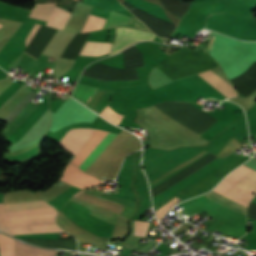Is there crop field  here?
<instances>
[{
  "label": "crop field",
  "instance_id": "crop-field-20",
  "mask_svg": "<svg viewBox=\"0 0 256 256\" xmlns=\"http://www.w3.org/2000/svg\"><path fill=\"white\" fill-rule=\"evenodd\" d=\"M43 28V26L36 24L34 29L32 30V32L30 33V35L27 37V39L25 40L27 49L29 48V46L31 45V43L33 42V40L36 38V36L38 35V33L40 32V30ZM26 49V50H27ZM25 50V52H26Z\"/></svg>",
  "mask_w": 256,
  "mask_h": 256
},
{
  "label": "crop field",
  "instance_id": "crop-field-22",
  "mask_svg": "<svg viewBox=\"0 0 256 256\" xmlns=\"http://www.w3.org/2000/svg\"><path fill=\"white\" fill-rule=\"evenodd\" d=\"M1 27V26H0Z\"/></svg>",
  "mask_w": 256,
  "mask_h": 256
},
{
  "label": "crop field",
  "instance_id": "crop-field-3",
  "mask_svg": "<svg viewBox=\"0 0 256 256\" xmlns=\"http://www.w3.org/2000/svg\"><path fill=\"white\" fill-rule=\"evenodd\" d=\"M56 214L57 211L54 207L4 212L3 203H0V230L11 235L64 232L56 225V223L19 227L14 229H11L8 223V220L41 218L47 216H56Z\"/></svg>",
  "mask_w": 256,
  "mask_h": 256
},
{
  "label": "crop field",
  "instance_id": "crop-field-17",
  "mask_svg": "<svg viewBox=\"0 0 256 256\" xmlns=\"http://www.w3.org/2000/svg\"><path fill=\"white\" fill-rule=\"evenodd\" d=\"M99 115L115 125H118L123 118V115L116 114L109 106H107Z\"/></svg>",
  "mask_w": 256,
  "mask_h": 256
},
{
  "label": "crop field",
  "instance_id": "crop-field-6",
  "mask_svg": "<svg viewBox=\"0 0 256 256\" xmlns=\"http://www.w3.org/2000/svg\"><path fill=\"white\" fill-rule=\"evenodd\" d=\"M95 131L91 128H72L65 133L61 143H59L76 155Z\"/></svg>",
  "mask_w": 256,
  "mask_h": 256
},
{
  "label": "crop field",
  "instance_id": "crop-field-8",
  "mask_svg": "<svg viewBox=\"0 0 256 256\" xmlns=\"http://www.w3.org/2000/svg\"><path fill=\"white\" fill-rule=\"evenodd\" d=\"M199 75H201L205 80H207L211 85H213L226 97L236 96L233 87L226 83L223 79H221L211 70L200 73Z\"/></svg>",
  "mask_w": 256,
  "mask_h": 256
},
{
  "label": "crop field",
  "instance_id": "crop-field-10",
  "mask_svg": "<svg viewBox=\"0 0 256 256\" xmlns=\"http://www.w3.org/2000/svg\"><path fill=\"white\" fill-rule=\"evenodd\" d=\"M112 44L86 41L80 55L100 56L109 53Z\"/></svg>",
  "mask_w": 256,
  "mask_h": 256
},
{
  "label": "crop field",
  "instance_id": "crop-field-7",
  "mask_svg": "<svg viewBox=\"0 0 256 256\" xmlns=\"http://www.w3.org/2000/svg\"><path fill=\"white\" fill-rule=\"evenodd\" d=\"M60 180L68 182L81 189L101 182L97 180L95 177L86 174L85 172L79 170L77 167L69 163L63 170Z\"/></svg>",
  "mask_w": 256,
  "mask_h": 256
},
{
  "label": "crop field",
  "instance_id": "crop-field-18",
  "mask_svg": "<svg viewBox=\"0 0 256 256\" xmlns=\"http://www.w3.org/2000/svg\"><path fill=\"white\" fill-rule=\"evenodd\" d=\"M148 222L135 221L134 236H145Z\"/></svg>",
  "mask_w": 256,
  "mask_h": 256
},
{
  "label": "crop field",
  "instance_id": "crop-field-13",
  "mask_svg": "<svg viewBox=\"0 0 256 256\" xmlns=\"http://www.w3.org/2000/svg\"><path fill=\"white\" fill-rule=\"evenodd\" d=\"M96 90H97L96 87L78 83L75 88V91L73 93V98H75L76 100L85 104V102L88 100V98L90 96H93V94L95 93ZM90 99H91V97H90ZM90 99L85 104L86 106H87L88 102L90 101Z\"/></svg>",
  "mask_w": 256,
  "mask_h": 256
},
{
  "label": "crop field",
  "instance_id": "crop-field-15",
  "mask_svg": "<svg viewBox=\"0 0 256 256\" xmlns=\"http://www.w3.org/2000/svg\"><path fill=\"white\" fill-rule=\"evenodd\" d=\"M130 17L121 15L119 13L110 12L107 21L104 25L106 27H117V26H126L127 22L129 21Z\"/></svg>",
  "mask_w": 256,
  "mask_h": 256
},
{
  "label": "crop field",
  "instance_id": "crop-field-5",
  "mask_svg": "<svg viewBox=\"0 0 256 256\" xmlns=\"http://www.w3.org/2000/svg\"><path fill=\"white\" fill-rule=\"evenodd\" d=\"M117 36L113 44L111 54L118 53L130 45L141 41V40H153L156 36L155 34H150L130 28H116Z\"/></svg>",
  "mask_w": 256,
  "mask_h": 256
},
{
  "label": "crop field",
  "instance_id": "crop-field-12",
  "mask_svg": "<svg viewBox=\"0 0 256 256\" xmlns=\"http://www.w3.org/2000/svg\"><path fill=\"white\" fill-rule=\"evenodd\" d=\"M56 3H35L30 17L48 20Z\"/></svg>",
  "mask_w": 256,
  "mask_h": 256
},
{
  "label": "crop field",
  "instance_id": "crop-field-1",
  "mask_svg": "<svg viewBox=\"0 0 256 256\" xmlns=\"http://www.w3.org/2000/svg\"><path fill=\"white\" fill-rule=\"evenodd\" d=\"M225 180L253 193L256 194V172L245 167L241 166L237 170L230 173L228 176L225 177ZM223 180L215 189L214 191L244 205L247 207L248 202L252 199L253 194ZM211 191L205 196L215 200L216 202L231 208L237 212H240L244 215L246 212V207L214 192Z\"/></svg>",
  "mask_w": 256,
  "mask_h": 256
},
{
  "label": "crop field",
  "instance_id": "crop-field-9",
  "mask_svg": "<svg viewBox=\"0 0 256 256\" xmlns=\"http://www.w3.org/2000/svg\"><path fill=\"white\" fill-rule=\"evenodd\" d=\"M31 244L39 246L54 247L60 249H74L76 250V240H42V239H22Z\"/></svg>",
  "mask_w": 256,
  "mask_h": 256
},
{
  "label": "crop field",
  "instance_id": "crop-field-21",
  "mask_svg": "<svg viewBox=\"0 0 256 256\" xmlns=\"http://www.w3.org/2000/svg\"><path fill=\"white\" fill-rule=\"evenodd\" d=\"M208 52V51H207ZM209 54H211L210 52H208ZM212 55V54H211ZM217 61H218V63L221 65V67H222V69H223V71L225 72V74L227 75V77H228V79H230V77H229V75H228V73L225 71V69L223 68V66H222V64L219 62V60L214 56V55H212Z\"/></svg>",
  "mask_w": 256,
  "mask_h": 256
},
{
  "label": "crop field",
  "instance_id": "crop-field-4",
  "mask_svg": "<svg viewBox=\"0 0 256 256\" xmlns=\"http://www.w3.org/2000/svg\"><path fill=\"white\" fill-rule=\"evenodd\" d=\"M115 136L116 134L97 130L71 163L79 166L83 171L87 172Z\"/></svg>",
  "mask_w": 256,
  "mask_h": 256
},
{
  "label": "crop field",
  "instance_id": "crop-field-16",
  "mask_svg": "<svg viewBox=\"0 0 256 256\" xmlns=\"http://www.w3.org/2000/svg\"><path fill=\"white\" fill-rule=\"evenodd\" d=\"M54 219L55 217H47L42 219L16 220V221H9V222L11 227L14 228V227L25 226V225L55 222Z\"/></svg>",
  "mask_w": 256,
  "mask_h": 256
},
{
  "label": "crop field",
  "instance_id": "crop-field-19",
  "mask_svg": "<svg viewBox=\"0 0 256 256\" xmlns=\"http://www.w3.org/2000/svg\"><path fill=\"white\" fill-rule=\"evenodd\" d=\"M180 199L173 198L171 201H169L167 204L162 206L160 209H158L156 212L158 219H160L176 202H178Z\"/></svg>",
  "mask_w": 256,
  "mask_h": 256
},
{
  "label": "crop field",
  "instance_id": "crop-field-14",
  "mask_svg": "<svg viewBox=\"0 0 256 256\" xmlns=\"http://www.w3.org/2000/svg\"><path fill=\"white\" fill-rule=\"evenodd\" d=\"M0 254L1 256H15L13 238L0 234Z\"/></svg>",
  "mask_w": 256,
  "mask_h": 256
},
{
  "label": "crop field",
  "instance_id": "crop-field-2",
  "mask_svg": "<svg viewBox=\"0 0 256 256\" xmlns=\"http://www.w3.org/2000/svg\"><path fill=\"white\" fill-rule=\"evenodd\" d=\"M217 65L214 58L200 49L193 53L181 48L155 67L176 80Z\"/></svg>",
  "mask_w": 256,
  "mask_h": 256
},
{
  "label": "crop field",
  "instance_id": "crop-field-11",
  "mask_svg": "<svg viewBox=\"0 0 256 256\" xmlns=\"http://www.w3.org/2000/svg\"><path fill=\"white\" fill-rule=\"evenodd\" d=\"M81 192V191H80ZM79 193V192H78ZM78 193H76L75 195H77ZM74 195V196H75ZM73 196V197H74ZM75 198H78V199H81V200H84V201H87V202H90V203H93V204H96L100 207H103V208H106V209H109L117 214H119L121 211H122V207L120 206H117L115 204H112V203H109L107 201H104L102 199H99L97 197H94V196H91L89 194H86L84 192H81L79 193L77 196H75Z\"/></svg>",
  "mask_w": 256,
  "mask_h": 256
}]
</instances>
